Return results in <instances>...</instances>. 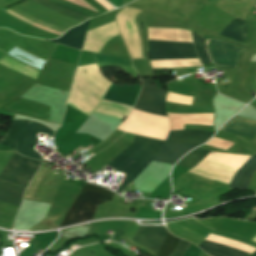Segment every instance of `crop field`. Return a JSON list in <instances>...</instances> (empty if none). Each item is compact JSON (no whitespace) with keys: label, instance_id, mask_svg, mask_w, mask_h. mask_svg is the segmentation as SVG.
I'll use <instances>...</instances> for the list:
<instances>
[{"label":"crop field","instance_id":"crop-field-24","mask_svg":"<svg viewBox=\"0 0 256 256\" xmlns=\"http://www.w3.org/2000/svg\"><path fill=\"white\" fill-rule=\"evenodd\" d=\"M188 245V242L181 239L177 248L173 251V253L170 256H182Z\"/></svg>","mask_w":256,"mask_h":256},{"label":"crop field","instance_id":"crop-field-9","mask_svg":"<svg viewBox=\"0 0 256 256\" xmlns=\"http://www.w3.org/2000/svg\"><path fill=\"white\" fill-rule=\"evenodd\" d=\"M167 230L159 227H139L132 241L157 253L162 245Z\"/></svg>","mask_w":256,"mask_h":256},{"label":"crop field","instance_id":"crop-field-17","mask_svg":"<svg viewBox=\"0 0 256 256\" xmlns=\"http://www.w3.org/2000/svg\"><path fill=\"white\" fill-rule=\"evenodd\" d=\"M200 248L211 256H249V254L234 248L204 241Z\"/></svg>","mask_w":256,"mask_h":256},{"label":"crop field","instance_id":"crop-field-4","mask_svg":"<svg viewBox=\"0 0 256 256\" xmlns=\"http://www.w3.org/2000/svg\"><path fill=\"white\" fill-rule=\"evenodd\" d=\"M33 1L43 5L45 7L53 9V10H55L57 12H60V13L65 14L67 16H70V17H72L74 19H77L79 21H84V20H86L87 18H89L91 16L99 14L97 12H94L95 10L92 7H90L88 4H86L83 0H68V1L74 2L76 4H79L81 6H84L86 8L91 9V10H94V11H91L89 9H86L84 7H81L79 5H76L74 3H71V2H68V1H65V0H33ZM10 10L15 12V13H17L18 15H20V16H22V17H24V18H26V19L36 23V24H38V25H42V26L48 27L50 29H53V30H56V31H59V32H62V33L65 32V30L56 28L54 26H51V25H48V24H45V23H41V22L33 19L32 17L24 14L23 12L15 9V8H12ZM6 11L8 13H10V14L18 17V18H20L21 20H23V21H25V22L35 26V27L44 29V30L52 32V33H55V34H57L59 36L61 35V33H59V32L50 30V29L42 27V26L35 25V24L29 22L28 20L18 16L17 14H15V13L9 11V10H6Z\"/></svg>","mask_w":256,"mask_h":256},{"label":"crop field","instance_id":"crop-field-2","mask_svg":"<svg viewBox=\"0 0 256 256\" xmlns=\"http://www.w3.org/2000/svg\"><path fill=\"white\" fill-rule=\"evenodd\" d=\"M32 121L30 120H16L13 121L12 125L8 129L4 140L2 141V145H6L12 148L15 151H18ZM45 133L52 137L53 132L50 131L47 127L33 122L20 149L19 153L26 157H31L37 160H42L43 158L34 150V146L38 144L37 134Z\"/></svg>","mask_w":256,"mask_h":256},{"label":"crop field","instance_id":"crop-field-20","mask_svg":"<svg viewBox=\"0 0 256 256\" xmlns=\"http://www.w3.org/2000/svg\"><path fill=\"white\" fill-rule=\"evenodd\" d=\"M192 152V151H191ZM209 153V151L203 150L196 148L192 153L189 155L185 156L179 163L178 165H182L185 167H193L196 165L204 156H206Z\"/></svg>","mask_w":256,"mask_h":256},{"label":"crop field","instance_id":"crop-field-6","mask_svg":"<svg viewBox=\"0 0 256 256\" xmlns=\"http://www.w3.org/2000/svg\"><path fill=\"white\" fill-rule=\"evenodd\" d=\"M150 60L198 58L194 44L149 40Z\"/></svg>","mask_w":256,"mask_h":256},{"label":"crop field","instance_id":"crop-field-3","mask_svg":"<svg viewBox=\"0 0 256 256\" xmlns=\"http://www.w3.org/2000/svg\"><path fill=\"white\" fill-rule=\"evenodd\" d=\"M115 193L86 183L83 190L68 211L60 227L83 222L93 218L97 206L111 199Z\"/></svg>","mask_w":256,"mask_h":256},{"label":"crop field","instance_id":"crop-field-11","mask_svg":"<svg viewBox=\"0 0 256 256\" xmlns=\"http://www.w3.org/2000/svg\"><path fill=\"white\" fill-rule=\"evenodd\" d=\"M194 147L182 144L164 143L158 156L153 161H160L168 164H174L186 152Z\"/></svg>","mask_w":256,"mask_h":256},{"label":"crop field","instance_id":"crop-field-27","mask_svg":"<svg viewBox=\"0 0 256 256\" xmlns=\"http://www.w3.org/2000/svg\"><path fill=\"white\" fill-rule=\"evenodd\" d=\"M250 256H256V251L253 254H251Z\"/></svg>","mask_w":256,"mask_h":256},{"label":"crop field","instance_id":"crop-field-10","mask_svg":"<svg viewBox=\"0 0 256 256\" xmlns=\"http://www.w3.org/2000/svg\"><path fill=\"white\" fill-rule=\"evenodd\" d=\"M213 133L200 131H170L165 142H176L198 146L209 138Z\"/></svg>","mask_w":256,"mask_h":256},{"label":"crop field","instance_id":"crop-field-15","mask_svg":"<svg viewBox=\"0 0 256 256\" xmlns=\"http://www.w3.org/2000/svg\"><path fill=\"white\" fill-rule=\"evenodd\" d=\"M255 169L256 157H252L235 175L229 187L247 189V185Z\"/></svg>","mask_w":256,"mask_h":256},{"label":"crop field","instance_id":"crop-field-7","mask_svg":"<svg viewBox=\"0 0 256 256\" xmlns=\"http://www.w3.org/2000/svg\"><path fill=\"white\" fill-rule=\"evenodd\" d=\"M206 44L214 65L219 67H237L240 52L248 50L215 38L207 39Z\"/></svg>","mask_w":256,"mask_h":256},{"label":"crop field","instance_id":"crop-field-8","mask_svg":"<svg viewBox=\"0 0 256 256\" xmlns=\"http://www.w3.org/2000/svg\"><path fill=\"white\" fill-rule=\"evenodd\" d=\"M166 93L154 88L150 79H142V91L134 110L166 115L164 111Z\"/></svg>","mask_w":256,"mask_h":256},{"label":"crop field","instance_id":"crop-field-26","mask_svg":"<svg viewBox=\"0 0 256 256\" xmlns=\"http://www.w3.org/2000/svg\"><path fill=\"white\" fill-rule=\"evenodd\" d=\"M121 1L122 0H109V2H111L116 7H121Z\"/></svg>","mask_w":256,"mask_h":256},{"label":"crop field","instance_id":"crop-field-23","mask_svg":"<svg viewBox=\"0 0 256 256\" xmlns=\"http://www.w3.org/2000/svg\"><path fill=\"white\" fill-rule=\"evenodd\" d=\"M195 41H196V50L199 55V58L202 62V64L211 63L206 52H205V39L201 38L200 36L195 34Z\"/></svg>","mask_w":256,"mask_h":256},{"label":"crop field","instance_id":"crop-field-22","mask_svg":"<svg viewBox=\"0 0 256 256\" xmlns=\"http://www.w3.org/2000/svg\"><path fill=\"white\" fill-rule=\"evenodd\" d=\"M179 239L167 233V237L156 256H169L177 245Z\"/></svg>","mask_w":256,"mask_h":256},{"label":"crop field","instance_id":"crop-field-25","mask_svg":"<svg viewBox=\"0 0 256 256\" xmlns=\"http://www.w3.org/2000/svg\"><path fill=\"white\" fill-rule=\"evenodd\" d=\"M99 4L105 7L107 10L113 9L109 4H107L104 0H96Z\"/></svg>","mask_w":256,"mask_h":256},{"label":"crop field","instance_id":"crop-field-13","mask_svg":"<svg viewBox=\"0 0 256 256\" xmlns=\"http://www.w3.org/2000/svg\"><path fill=\"white\" fill-rule=\"evenodd\" d=\"M87 21L79 26H75L69 29L61 38L50 41H54L80 50Z\"/></svg>","mask_w":256,"mask_h":256},{"label":"crop field","instance_id":"crop-field-5","mask_svg":"<svg viewBox=\"0 0 256 256\" xmlns=\"http://www.w3.org/2000/svg\"><path fill=\"white\" fill-rule=\"evenodd\" d=\"M41 163L40 161L27 159L14 153L0 174V180L21 187H27Z\"/></svg>","mask_w":256,"mask_h":256},{"label":"crop field","instance_id":"crop-field-14","mask_svg":"<svg viewBox=\"0 0 256 256\" xmlns=\"http://www.w3.org/2000/svg\"><path fill=\"white\" fill-rule=\"evenodd\" d=\"M24 191V188L0 182V202L19 207Z\"/></svg>","mask_w":256,"mask_h":256},{"label":"crop field","instance_id":"crop-field-12","mask_svg":"<svg viewBox=\"0 0 256 256\" xmlns=\"http://www.w3.org/2000/svg\"><path fill=\"white\" fill-rule=\"evenodd\" d=\"M256 130V121L235 117L230 123L222 127L221 131L234 135L252 138Z\"/></svg>","mask_w":256,"mask_h":256},{"label":"crop field","instance_id":"crop-field-19","mask_svg":"<svg viewBox=\"0 0 256 256\" xmlns=\"http://www.w3.org/2000/svg\"><path fill=\"white\" fill-rule=\"evenodd\" d=\"M7 55V54H6ZM5 55V56H6ZM3 57L1 60H0V64H2V65H4V66H6V67H9V68H11V69H13V70H15V71H18V72H20V73H22V74H24V75H26V76H29V77H32V78H34V79H36V77H37V75H38V72H39V70H37V69H34V68H32V67H29V66H27V65H25V64H23V63H20V62H18V61H16V60H14V61H16V62H18V63H20V64H22V65H24V66H26V67H29V68H31V69H34V70H36V71H38V72H36V71H34V70H31V69H29V68H26V67H24V66H22V65H20V64H18V63H16V62H14V61H12L11 59H9V58H7V57Z\"/></svg>","mask_w":256,"mask_h":256},{"label":"crop field","instance_id":"crop-field-16","mask_svg":"<svg viewBox=\"0 0 256 256\" xmlns=\"http://www.w3.org/2000/svg\"><path fill=\"white\" fill-rule=\"evenodd\" d=\"M220 35L243 42L247 38L246 22L236 17Z\"/></svg>","mask_w":256,"mask_h":256},{"label":"crop field","instance_id":"crop-field-21","mask_svg":"<svg viewBox=\"0 0 256 256\" xmlns=\"http://www.w3.org/2000/svg\"><path fill=\"white\" fill-rule=\"evenodd\" d=\"M91 55L94 58L95 62L115 64V65H121V66L132 68L130 59L99 55V54H93V53H91Z\"/></svg>","mask_w":256,"mask_h":256},{"label":"crop field","instance_id":"crop-field-18","mask_svg":"<svg viewBox=\"0 0 256 256\" xmlns=\"http://www.w3.org/2000/svg\"><path fill=\"white\" fill-rule=\"evenodd\" d=\"M7 54L27 63L29 65L35 66L39 69H41V67L44 63V60H42L38 57H35L16 46L14 48H12Z\"/></svg>","mask_w":256,"mask_h":256},{"label":"crop field","instance_id":"crop-field-1","mask_svg":"<svg viewBox=\"0 0 256 256\" xmlns=\"http://www.w3.org/2000/svg\"><path fill=\"white\" fill-rule=\"evenodd\" d=\"M163 142L136 136L133 144L126 148L107 167L113 172L125 174L115 191L119 193L130 184L142 170L157 156Z\"/></svg>","mask_w":256,"mask_h":256}]
</instances>
